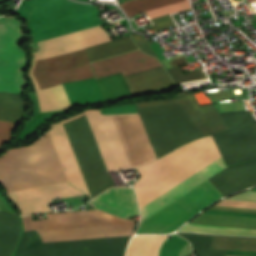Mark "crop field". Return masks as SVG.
I'll return each instance as SVG.
<instances>
[{
    "label": "crop field",
    "instance_id": "crop-field-1",
    "mask_svg": "<svg viewBox=\"0 0 256 256\" xmlns=\"http://www.w3.org/2000/svg\"><path fill=\"white\" fill-rule=\"evenodd\" d=\"M138 112L157 158L202 138L178 105ZM224 168L226 166L211 136L137 168L140 179L133 186L142 213L140 222Z\"/></svg>",
    "mask_w": 256,
    "mask_h": 256
},
{
    "label": "crop field",
    "instance_id": "crop-field-2",
    "mask_svg": "<svg viewBox=\"0 0 256 256\" xmlns=\"http://www.w3.org/2000/svg\"><path fill=\"white\" fill-rule=\"evenodd\" d=\"M87 110L68 120L51 124L49 130L68 181L81 191L90 193L83 180L63 123L77 119ZM49 132L22 148L11 149L0 156V183L7 192L67 181ZM68 182L7 193L22 215L49 212L48 204L59 198L83 194Z\"/></svg>",
    "mask_w": 256,
    "mask_h": 256
},
{
    "label": "crop field",
    "instance_id": "crop-field-3",
    "mask_svg": "<svg viewBox=\"0 0 256 256\" xmlns=\"http://www.w3.org/2000/svg\"><path fill=\"white\" fill-rule=\"evenodd\" d=\"M108 171L143 166L155 159L138 113L86 115ZM86 116L64 124L81 172L94 197L114 186Z\"/></svg>",
    "mask_w": 256,
    "mask_h": 256
},
{
    "label": "crop field",
    "instance_id": "crop-field-4",
    "mask_svg": "<svg viewBox=\"0 0 256 256\" xmlns=\"http://www.w3.org/2000/svg\"><path fill=\"white\" fill-rule=\"evenodd\" d=\"M221 116L230 129L212 137L226 165L256 159V123L250 111ZM208 180L224 196L254 186L256 161L226 168ZM208 180L178 198L193 216L224 197ZM178 199L140 223L136 234H166L179 228L192 215Z\"/></svg>",
    "mask_w": 256,
    "mask_h": 256
},
{
    "label": "crop field",
    "instance_id": "crop-field-5",
    "mask_svg": "<svg viewBox=\"0 0 256 256\" xmlns=\"http://www.w3.org/2000/svg\"><path fill=\"white\" fill-rule=\"evenodd\" d=\"M107 41L111 40L103 28L99 26L60 38L40 42L41 53L32 54V65L29 69V75L35 84L41 112L71 107L61 83L94 77L89 61L93 62L98 59L138 49L131 41L130 36L104 43ZM84 48H87L89 61ZM60 54L64 55L57 56ZM35 61H37L36 66ZM33 71L40 90L58 84L61 85L40 91L33 76Z\"/></svg>",
    "mask_w": 256,
    "mask_h": 256
},
{
    "label": "crop field",
    "instance_id": "crop-field-6",
    "mask_svg": "<svg viewBox=\"0 0 256 256\" xmlns=\"http://www.w3.org/2000/svg\"><path fill=\"white\" fill-rule=\"evenodd\" d=\"M32 221L22 217L24 229H38L43 242L132 235L135 221L124 220L100 210L47 214Z\"/></svg>",
    "mask_w": 256,
    "mask_h": 256
},
{
    "label": "crop field",
    "instance_id": "crop-field-7",
    "mask_svg": "<svg viewBox=\"0 0 256 256\" xmlns=\"http://www.w3.org/2000/svg\"><path fill=\"white\" fill-rule=\"evenodd\" d=\"M15 13L27 20L33 41L103 24L93 5L70 0H23Z\"/></svg>",
    "mask_w": 256,
    "mask_h": 256
},
{
    "label": "crop field",
    "instance_id": "crop-field-8",
    "mask_svg": "<svg viewBox=\"0 0 256 256\" xmlns=\"http://www.w3.org/2000/svg\"><path fill=\"white\" fill-rule=\"evenodd\" d=\"M96 78L121 72L123 76L147 70L161 63L140 50L91 63ZM133 94L175 84L161 67L124 77Z\"/></svg>",
    "mask_w": 256,
    "mask_h": 256
},
{
    "label": "crop field",
    "instance_id": "crop-field-9",
    "mask_svg": "<svg viewBox=\"0 0 256 256\" xmlns=\"http://www.w3.org/2000/svg\"><path fill=\"white\" fill-rule=\"evenodd\" d=\"M22 22L0 18V91L21 93L25 87L23 72L28 55L18 43L27 41L22 33Z\"/></svg>",
    "mask_w": 256,
    "mask_h": 256
},
{
    "label": "crop field",
    "instance_id": "crop-field-10",
    "mask_svg": "<svg viewBox=\"0 0 256 256\" xmlns=\"http://www.w3.org/2000/svg\"><path fill=\"white\" fill-rule=\"evenodd\" d=\"M131 236L97 238L66 242L41 243L39 248L27 249L30 233L23 232L15 256H124Z\"/></svg>",
    "mask_w": 256,
    "mask_h": 256
},
{
    "label": "crop field",
    "instance_id": "crop-field-11",
    "mask_svg": "<svg viewBox=\"0 0 256 256\" xmlns=\"http://www.w3.org/2000/svg\"><path fill=\"white\" fill-rule=\"evenodd\" d=\"M178 104L203 137L220 133L228 126L213 105L200 106L194 94H187L172 100H160L137 104V109Z\"/></svg>",
    "mask_w": 256,
    "mask_h": 256
},
{
    "label": "crop field",
    "instance_id": "crop-field-12",
    "mask_svg": "<svg viewBox=\"0 0 256 256\" xmlns=\"http://www.w3.org/2000/svg\"><path fill=\"white\" fill-rule=\"evenodd\" d=\"M125 1H129V0H124V2ZM179 1H182V0H132V1L120 4V7L126 13L128 18H130L140 12L161 7L164 5H168L171 3L179 2ZM188 9H190V7L188 4V1L186 0L179 3L164 6L161 8L146 11V13L151 19H153L160 16L168 15L177 11L188 10ZM152 21L156 27L154 28L155 32L170 26H174V23L170 15L153 19Z\"/></svg>",
    "mask_w": 256,
    "mask_h": 256
},
{
    "label": "crop field",
    "instance_id": "crop-field-13",
    "mask_svg": "<svg viewBox=\"0 0 256 256\" xmlns=\"http://www.w3.org/2000/svg\"><path fill=\"white\" fill-rule=\"evenodd\" d=\"M88 204L124 219L139 215L132 188H111Z\"/></svg>",
    "mask_w": 256,
    "mask_h": 256
},
{
    "label": "crop field",
    "instance_id": "crop-field-14",
    "mask_svg": "<svg viewBox=\"0 0 256 256\" xmlns=\"http://www.w3.org/2000/svg\"><path fill=\"white\" fill-rule=\"evenodd\" d=\"M63 85L72 106L104 102L94 78Z\"/></svg>",
    "mask_w": 256,
    "mask_h": 256
},
{
    "label": "crop field",
    "instance_id": "crop-field-15",
    "mask_svg": "<svg viewBox=\"0 0 256 256\" xmlns=\"http://www.w3.org/2000/svg\"><path fill=\"white\" fill-rule=\"evenodd\" d=\"M9 214L0 212V256H12L20 236V219Z\"/></svg>",
    "mask_w": 256,
    "mask_h": 256
},
{
    "label": "crop field",
    "instance_id": "crop-field-16",
    "mask_svg": "<svg viewBox=\"0 0 256 256\" xmlns=\"http://www.w3.org/2000/svg\"><path fill=\"white\" fill-rule=\"evenodd\" d=\"M211 249H226L238 251H256V238H238L213 236ZM226 251L227 255L256 256V252Z\"/></svg>",
    "mask_w": 256,
    "mask_h": 256
},
{
    "label": "crop field",
    "instance_id": "crop-field-17",
    "mask_svg": "<svg viewBox=\"0 0 256 256\" xmlns=\"http://www.w3.org/2000/svg\"><path fill=\"white\" fill-rule=\"evenodd\" d=\"M105 101L133 97L121 73L96 79Z\"/></svg>",
    "mask_w": 256,
    "mask_h": 256
},
{
    "label": "crop field",
    "instance_id": "crop-field-18",
    "mask_svg": "<svg viewBox=\"0 0 256 256\" xmlns=\"http://www.w3.org/2000/svg\"><path fill=\"white\" fill-rule=\"evenodd\" d=\"M25 103L21 94L0 93V120L17 123L23 117Z\"/></svg>",
    "mask_w": 256,
    "mask_h": 256
},
{
    "label": "crop field",
    "instance_id": "crop-field-19",
    "mask_svg": "<svg viewBox=\"0 0 256 256\" xmlns=\"http://www.w3.org/2000/svg\"><path fill=\"white\" fill-rule=\"evenodd\" d=\"M170 235L166 236H136L134 237L130 244H129V251L127 256H158L159 249L161 244L169 237Z\"/></svg>",
    "mask_w": 256,
    "mask_h": 256
},
{
    "label": "crop field",
    "instance_id": "crop-field-20",
    "mask_svg": "<svg viewBox=\"0 0 256 256\" xmlns=\"http://www.w3.org/2000/svg\"><path fill=\"white\" fill-rule=\"evenodd\" d=\"M180 231L198 233L256 236V229L190 223Z\"/></svg>",
    "mask_w": 256,
    "mask_h": 256
},
{
    "label": "crop field",
    "instance_id": "crop-field-21",
    "mask_svg": "<svg viewBox=\"0 0 256 256\" xmlns=\"http://www.w3.org/2000/svg\"><path fill=\"white\" fill-rule=\"evenodd\" d=\"M187 239L197 256H225L224 250H210V235L177 233Z\"/></svg>",
    "mask_w": 256,
    "mask_h": 256
},
{
    "label": "crop field",
    "instance_id": "crop-field-22",
    "mask_svg": "<svg viewBox=\"0 0 256 256\" xmlns=\"http://www.w3.org/2000/svg\"><path fill=\"white\" fill-rule=\"evenodd\" d=\"M186 244H188L187 241L173 234L162 245L160 256H180L181 250Z\"/></svg>",
    "mask_w": 256,
    "mask_h": 256
},
{
    "label": "crop field",
    "instance_id": "crop-field-23",
    "mask_svg": "<svg viewBox=\"0 0 256 256\" xmlns=\"http://www.w3.org/2000/svg\"><path fill=\"white\" fill-rule=\"evenodd\" d=\"M169 71L178 82V84L207 79L202 70L184 75L178 66H176L172 69H169Z\"/></svg>",
    "mask_w": 256,
    "mask_h": 256
},
{
    "label": "crop field",
    "instance_id": "crop-field-24",
    "mask_svg": "<svg viewBox=\"0 0 256 256\" xmlns=\"http://www.w3.org/2000/svg\"><path fill=\"white\" fill-rule=\"evenodd\" d=\"M16 126L14 123L0 121V145L6 141H10L12 137L11 130Z\"/></svg>",
    "mask_w": 256,
    "mask_h": 256
},
{
    "label": "crop field",
    "instance_id": "crop-field-25",
    "mask_svg": "<svg viewBox=\"0 0 256 256\" xmlns=\"http://www.w3.org/2000/svg\"><path fill=\"white\" fill-rule=\"evenodd\" d=\"M100 110L104 114L137 112L135 108V104L118 106V107H105V108H101Z\"/></svg>",
    "mask_w": 256,
    "mask_h": 256
},
{
    "label": "crop field",
    "instance_id": "crop-field-26",
    "mask_svg": "<svg viewBox=\"0 0 256 256\" xmlns=\"http://www.w3.org/2000/svg\"><path fill=\"white\" fill-rule=\"evenodd\" d=\"M136 41H134L137 46L143 50L144 52L151 54L155 57H157V54L155 51L151 48V46L146 42V40L143 38L141 34H133L132 35ZM158 58V57H157Z\"/></svg>",
    "mask_w": 256,
    "mask_h": 256
},
{
    "label": "crop field",
    "instance_id": "crop-field-27",
    "mask_svg": "<svg viewBox=\"0 0 256 256\" xmlns=\"http://www.w3.org/2000/svg\"><path fill=\"white\" fill-rule=\"evenodd\" d=\"M252 191H256V188L252 189ZM228 199L242 200V201H256V192L247 191Z\"/></svg>",
    "mask_w": 256,
    "mask_h": 256
},
{
    "label": "crop field",
    "instance_id": "crop-field-28",
    "mask_svg": "<svg viewBox=\"0 0 256 256\" xmlns=\"http://www.w3.org/2000/svg\"><path fill=\"white\" fill-rule=\"evenodd\" d=\"M151 46L156 51V53L158 54L160 60L166 59L164 57V55L161 53V52H164V50L157 43L151 44Z\"/></svg>",
    "mask_w": 256,
    "mask_h": 256
},
{
    "label": "crop field",
    "instance_id": "crop-field-29",
    "mask_svg": "<svg viewBox=\"0 0 256 256\" xmlns=\"http://www.w3.org/2000/svg\"><path fill=\"white\" fill-rule=\"evenodd\" d=\"M232 1H233L234 5H235L236 3H238V2H240L242 0H232Z\"/></svg>",
    "mask_w": 256,
    "mask_h": 256
},
{
    "label": "crop field",
    "instance_id": "crop-field-30",
    "mask_svg": "<svg viewBox=\"0 0 256 256\" xmlns=\"http://www.w3.org/2000/svg\"><path fill=\"white\" fill-rule=\"evenodd\" d=\"M83 1H86V0H83Z\"/></svg>",
    "mask_w": 256,
    "mask_h": 256
},
{
    "label": "crop field",
    "instance_id": "crop-field-31",
    "mask_svg": "<svg viewBox=\"0 0 256 256\" xmlns=\"http://www.w3.org/2000/svg\"><path fill=\"white\" fill-rule=\"evenodd\" d=\"M253 1H256V0H253Z\"/></svg>",
    "mask_w": 256,
    "mask_h": 256
},
{
    "label": "crop field",
    "instance_id": "crop-field-32",
    "mask_svg": "<svg viewBox=\"0 0 256 256\" xmlns=\"http://www.w3.org/2000/svg\"><path fill=\"white\" fill-rule=\"evenodd\" d=\"M1 16V15H0Z\"/></svg>",
    "mask_w": 256,
    "mask_h": 256
}]
</instances>
